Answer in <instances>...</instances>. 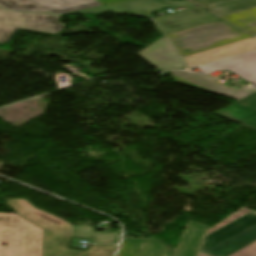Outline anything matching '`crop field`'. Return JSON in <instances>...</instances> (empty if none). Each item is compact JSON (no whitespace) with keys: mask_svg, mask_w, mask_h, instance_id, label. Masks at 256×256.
<instances>
[{"mask_svg":"<svg viewBox=\"0 0 256 256\" xmlns=\"http://www.w3.org/2000/svg\"><path fill=\"white\" fill-rule=\"evenodd\" d=\"M16 213L44 228L43 256H112L116 246L90 245L88 250L67 248L70 237L92 238L93 243H117L120 231L98 232L94 227L75 225L35 209L25 199L5 201Z\"/></svg>","mask_w":256,"mask_h":256,"instance_id":"crop-field-1","label":"crop field"},{"mask_svg":"<svg viewBox=\"0 0 256 256\" xmlns=\"http://www.w3.org/2000/svg\"><path fill=\"white\" fill-rule=\"evenodd\" d=\"M188 67L218 63L248 82L256 84V37L183 56Z\"/></svg>","mask_w":256,"mask_h":256,"instance_id":"crop-field-2","label":"crop field"},{"mask_svg":"<svg viewBox=\"0 0 256 256\" xmlns=\"http://www.w3.org/2000/svg\"><path fill=\"white\" fill-rule=\"evenodd\" d=\"M18 216L0 213V256H42L43 229Z\"/></svg>","mask_w":256,"mask_h":256,"instance_id":"crop-field-3","label":"crop field"},{"mask_svg":"<svg viewBox=\"0 0 256 256\" xmlns=\"http://www.w3.org/2000/svg\"><path fill=\"white\" fill-rule=\"evenodd\" d=\"M181 56L241 40L244 34L223 21H217L167 35Z\"/></svg>","mask_w":256,"mask_h":256,"instance_id":"crop-field-4","label":"crop field"},{"mask_svg":"<svg viewBox=\"0 0 256 256\" xmlns=\"http://www.w3.org/2000/svg\"><path fill=\"white\" fill-rule=\"evenodd\" d=\"M256 240V212L252 211L206 236L201 252L228 256Z\"/></svg>","mask_w":256,"mask_h":256,"instance_id":"crop-field-5","label":"crop field"},{"mask_svg":"<svg viewBox=\"0 0 256 256\" xmlns=\"http://www.w3.org/2000/svg\"><path fill=\"white\" fill-rule=\"evenodd\" d=\"M61 15L17 13L0 9V44L8 43L17 29L55 35L64 25Z\"/></svg>","mask_w":256,"mask_h":256,"instance_id":"crop-field-6","label":"crop field"},{"mask_svg":"<svg viewBox=\"0 0 256 256\" xmlns=\"http://www.w3.org/2000/svg\"><path fill=\"white\" fill-rule=\"evenodd\" d=\"M180 6L187 8L195 5L189 2L188 0H129L120 3L91 8L83 11H78L74 13L93 11H114L126 14L151 17L150 14L155 12V10L162 8L175 9ZM143 11L147 13H141Z\"/></svg>","mask_w":256,"mask_h":256,"instance_id":"crop-field-7","label":"crop field"},{"mask_svg":"<svg viewBox=\"0 0 256 256\" xmlns=\"http://www.w3.org/2000/svg\"><path fill=\"white\" fill-rule=\"evenodd\" d=\"M170 74L177 83H181L237 100L255 92V90L244 87L238 90L228 88L219 84L216 79L208 78L188 71H172L170 72Z\"/></svg>","mask_w":256,"mask_h":256,"instance_id":"crop-field-8","label":"crop field"},{"mask_svg":"<svg viewBox=\"0 0 256 256\" xmlns=\"http://www.w3.org/2000/svg\"><path fill=\"white\" fill-rule=\"evenodd\" d=\"M166 34L217 21L218 19L195 6L176 13L154 18Z\"/></svg>","mask_w":256,"mask_h":256,"instance_id":"crop-field-9","label":"crop field"},{"mask_svg":"<svg viewBox=\"0 0 256 256\" xmlns=\"http://www.w3.org/2000/svg\"><path fill=\"white\" fill-rule=\"evenodd\" d=\"M137 55L163 70L184 69L177 52L165 36Z\"/></svg>","mask_w":256,"mask_h":256,"instance_id":"crop-field-10","label":"crop field"},{"mask_svg":"<svg viewBox=\"0 0 256 256\" xmlns=\"http://www.w3.org/2000/svg\"><path fill=\"white\" fill-rule=\"evenodd\" d=\"M173 253L157 239L124 238L117 256H172Z\"/></svg>","mask_w":256,"mask_h":256,"instance_id":"crop-field-11","label":"crop field"},{"mask_svg":"<svg viewBox=\"0 0 256 256\" xmlns=\"http://www.w3.org/2000/svg\"><path fill=\"white\" fill-rule=\"evenodd\" d=\"M214 114L256 129V93Z\"/></svg>","mask_w":256,"mask_h":256,"instance_id":"crop-field-12","label":"crop field"},{"mask_svg":"<svg viewBox=\"0 0 256 256\" xmlns=\"http://www.w3.org/2000/svg\"><path fill=\"white\" fill-rule=\"evenodd\" d=\"M207 228L196 222H188L173 256H196Z\"/></svg>","mask_w":256,"mask_h":256,"instance_id":"crop-field-13","label":"crop field"},{"mask_svg":"<svg viewBox=\"0 0 256 256\" xmlns=\"http://www.w3.org/2000/svg\"><path fill=\"white\" fill-rule=\"evenodd\" d=\"M211 13L220 17L256 6V0H193Z\"/></svg>","mask_w":256,"mask_h":256,"instance_id":"crop-field-14","label":"crop field"},{"mask_svg":"<svg viewBox=\"0 0 256 256\" xmlns=\"http://www.w3.org/2000/svg\"><path fill=\"white\" fill-rule=\"evenodd\" d=\"M32 1L41 5L51 13L74 12V11L101 5L95 0H32Z\"/></svg>","mask_w":256,"mask_h":256,"instance_id":"crop-field-15","label":"crop field"},{"mask_svg":"<svg viewBox=\"0 0 256 256\" xmlns=\"http://www.w3.org/2000/svg\"><path fill=\"white\" fill-rule=\"evenodd\" d=\"M220 18L238 30L256 35V7Z\"/></svg>","mask_w":256,"mask_h":256,"instance_id":"crop-field-16","label":"crop field"},{"mask_svg":"<svg viewBox=\"0 0 256 256\" xmlns=\"http://www.w3.org/2000/svg\"><path fill=\"white\" fill-rule=\"evenodd\" d=\"M0 6L10 10H25L49 13L44 8L30 0H0Z\"/></svg>","mask_w":256,"mask_h":256,"instance_id":"crop-field-17","label":"crop field"},{"mask_svg":"<svg viewBox=\"0 0 256 256\" xmlns=\"http://www.w3.org/2000/svg\"><path fill=\"white\" fill-rule=\"evenodd\" d=\"M230 256H256V241Z\"/></svg>","mask_w":256,"mask_h":256,"instance_id":"crop-field-18","label":"crop field"},{"mask_svg":"<svg viewBox=\"0 0 256 256\" xmlns=\"http://www.w3.org/2000/svg\"><path fill=\"white\" fill-rule=\"evenodd\" d=\"M248 212H250V210H246V209L241 210L240 212L236 213V214L233 215L232 217L228 218L227 220L223 221L222 223H220V224H218L217 226H215V227H213L212 229H210V230L207 232V234H209V233H211V232H213V231H215V230H217V229H219V228L225 226L226 224H228V223L234 221L235 219L241 217L242 215H244V214H246V213H248Z\"/></svg>","mask_w":256,"mask_h":256,"instance_id":"crop-field-19","label":"crop field"},{"mask_svg":"<svg viewBox=\"0 0 256 256\" xmlns=\"http://www.w3.org/2000/svg\"><path fill=\"white\" fill-rule=\"evenodd\" d=\"M96 1H98L102 5H105V4L120 2V1H124V0H96Z\"/></svg>","mask_w":256,"mask_h":256,"instance_id":"crop-field-20","label":"crop field"},{"mask_svg":"<svg viewBox=\"0 0 256 256\" xmlns=\"http://www.w3.org/2000/svg\"><path fill=\"white\" fill-rule=\"evenodd\" d=\"M197 256H206V255L199 252Z\"/></svg>","mask_w":256,"mask_h":256,"instance_id":"crop-field-21","label":"crop field"}]
</instances>
